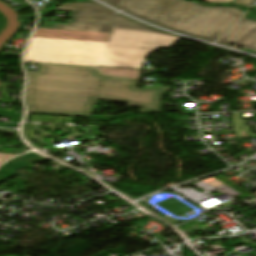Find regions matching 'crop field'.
I'll use <instances>...</instances> for the list:
<instances>
[{"mask_svg":"<svg viewBox=\"0 0 256 256\" xmlns=\"http://www.w3.org/2000/svg\"><path fill=\"white\" fill-rule=\"evenodd\" d=\"M55 10L74 12L71 25L58 24L55 29L101 32L103 27L72 25L73 23L110 25L114 14L95 3L65 4ZM113 26L163 33L117 14ZM167 34V33H165ZM175 36V35H174ZM179 37V36H176Z\"/></svg>","mask_w":256,"mask_h":256,"instance_id":"obj_4","label":"crop field"},{"mask_svg":"<svg viewBox=\"0 0 256 256\" xmlns=\"http://www.w3.org/2000/svg\"><path fill=\"white\" fill-rule=\"evenodd\" d=\"M103 74L138 79L140 71L99 68Z\"/></svg>","mask_w":256,"mask_h":256,"instance_id":"obj_9","label":"crop field"},{"mask_svg":"<svg viewBox=\"0 0 256 256\" xmlns=\"http://www.w3.org/2000/svg\"><path fill=\"white\" fill-rule=\"evenodd\" d=\"M12 156H14V155H12V154H3V153H0V163L1 162H3V161H5L7 158H9V157H12Z\"/></svg>","mask_w":256,"mask_h":256,"instance_id":"obj_13","label":"crop field"},{"mask_svg":"<svg viewBox=\"0 0 256 256\" xmlns=\"http://www.w3.org/2000/svg\"><path fill=\"white\" fill-rule=\"evenodd\" d=\"M116 16V15H115ZM115 16H114V19H113V21H112V24H111V26H104V28H103V31L102 32H106V33H110V31H111V28H112V25H113V23H114V20H115ZM81 25H83V24H81ZM96 26H101V25H96ZM139 31V30H138ZM145 32H147V31H145ZM153 33V32H152ZM159 34V33H158ZM165 35V34H164ZM171 36V35H170Z\"/></svg>","mask_w":256,"mask_h":256,"instance_id":"obj_12","label":"crop field"},{"mask_svg":"<svg viewBox=\"0 0 256 256\" xmlns=\"http://www.w3.org/2000/svg\"><path fill=\"white\" fill-rule=\"evenodd\" d=\"M251 28L256 29V22L242 18L217 43L218 44H226V43L235 44ZM240 46L248 49H256V35L248 33L242 39Z\"/></svg>","mask_w":256,"mask_h":256,"instance_id":"obj_5","label":"crop field"},{"mask_svg":"<svg viewBox=\"0 0 256 256\" xmlns=\"http://www.w3.org/2000/svg\"><path fill=\"white\" fill-rule=\"evenodd\" d=\"M29 112L89 116L94 106L26 101Z\"/></svg>","mask_w":256,"mask_h":256,"instance_id":"obj_6","label":"crop field"},{"mask_svg":"<svg viewBox=\"0 0 256 256\" xmlns=\"http://www.w3.org/2000/svg\"><path fill=\"white\" fill-rule=\"evenodd\" d=\"M178 38L112 28L108 42L32 37L25 61L141 68L157 48L169 49Z\"/></svg>","mask_w":256,"mask_h":256,"instance_id":"obj_2","label":"crop field"},{"mask_svg":"<svg viewBox=\"0 0 256 256\" xmlns=\"http://www.w3.org/2000/svg\"><path fill=\"white\" fill-rule=\"evenodd\" d=\"M255 0H236V1H234L233 3H238V4H240V5H242V6H244V7H247V8H249L250 6H252V5H250L252 2H254Z\"/></svg>","mask_w":256,"mask_h":256,"instance_id":"obj_10","label":"crop field"},{"mask_svg":"<svg viewBox=\"0 0 256 256\" xmlns=\"http://www.w3.org/2000/svg\"><path fill=\"white\" fill-rule=\"evenodd\" d=\"M109 35L110 34L106 33L63 31L37 28L34 36L89 41H107Z\"/></svg>","mask_w":256,"mask_h":256,"instance_id":"obj_7","label":"crop field"},{"mask_svg":"<svg viewBox=\"0 0 256 256\" xmlns=\"http://www.w3.org/2000/svg\"><path fill=\"white\" fill-rule=\"evenodd\" d=\"M208 2L231 3L234 0H207Z\"/></svg>","mask_w":256,"mask_h":256,"instance_id":"obj_14","label":"crop field"},{"mask_svg":"<svg viewBox=\"0 0 256 256\" xmlns=\"http://www.w3.org/2000/svg\"><path fill=\"white\" fill-rule=\"evenodd\" d=\"M45 158H42L35 153H29L27 155L14 158L8 161L5 165H3L0 169L16 172V170L26 164H29L33 161H41Z\"/></svg>","mask_w":256,"mask_h":256,"instance_id":"obj_8","label":"crop field"},{"mask_svg":"<svg viewBox=\"0 0 256 256\" xmlns=\"http://www.w3.org/2000/svg\"><path fill=\"white\" fill-rule=\"evenodd\" d=\"M1 21H2V18H1V16H0V25H1Z\"/></svg>","mask_w":256,"mask_h":256,"instance_id":"obj_16","label":"crop field"},{"mask_svg":"<svg viewBox=\"0 0 256 256\" xmlns=\"http://www.w3.org/2000/svg\"><path fill=\"white\" fill-rule=\"evenodd\" d=\"M160 26L214 42L245 11L208 7L185 0H102Z\"/></svg>","mask_w":256,"mask_h":256,"instance_id":"obj_3","label":"crop field"},{"mask_svg":"<svg viewBox=\"0 0 256 256\" xmlns=\"http://www.w3.org/2000/svg\"><path fill=\"white\" fill-rule=\"evenodd\" d=\"M13 173L5 172L0 170V182L12 176Z\"/></svg>","mask_w":256,"mask_h":256,"instance_id":"obj_11","label":"crop field"},{"mask_svg":"<svg viewBox=\"0 0 256 256\" xmlns=\"http://www.w3.org/2000/svg\"><path fill=\"white\" fill-rule=\"evenodd\" d=\"M249 32H251V33H255V34H256V30H254V29H251ZM242 38H243V37H242ZM242 38H241V39H242ZM241 39H240L236 44H238V45H239V44H240Z\"/></svg>","mask_w":256,"mask_h":256,"instance_id":"obj_15","label":"crop field"},{"mask_svg":"<svg viewBox=\"0 0 256 256\" xmlns=\"http://www.w3.org/2000/svg\"><path fill=\"white\" fill-rule=\"evenodd\" d=\"M40 72L27 71L26 100L94 105L97 99L160 112V99L168 87L136 89L137 81L102 76L94 68L38 64Z\"/></svg>","mask_w":256,"mask_h":256,"instance_id":"obj_1","label":"crop field"}]
</instances>
